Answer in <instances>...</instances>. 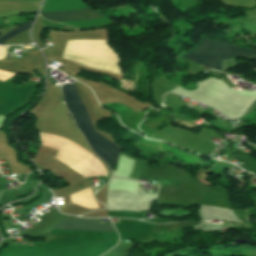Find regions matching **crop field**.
Listing matches in <instances>:
<instances>
[{
	"instance_id": "1",
	"label": "crop field",
	"mask_w": 256,
	"mask_h": 256,
	"mask_svg": "<svg viewBox=\"0 0 256 256\" xmlns=\"http://www.w3.org/2000/svg\"><path fill=\"white\" fill-rule=\"evenodd\" d=\"M62 92L67 109L74 117L78 129L85 136L92 150L108 164L112 172L121 150L94 130L74 84L62 85Z\"/></svg>"
},
{
	"instance_id": "2",
	"label": "crop field",
	"mask_w": 256,
	"mask_h": 256,
	"mask_svg": "<svg viewBox=\"0 0 256 256\" xmlns=\"http://www.w3.org/2000/svg\"><path fill=\"white\" fill-rule=\"evenodd\" d=\"M234 56L256 59V51L240 49L224 42L209 41L204 38L198 46L183 58L220 71L221 61Z\"/></svg>"
},
{
	"instance_id": "3",
	"label": "crop field",
	"mask_w": 256,
	"mask_h": 256,
	"mask_svg": "<svg viewBox=\"0 0 256 256\" xmlns=\"http://www.w3.org/2000/svg\"><path fill=\"white\" fill-rule=\"evenodd\" d=\"M99 219H60L55 228L116 232L111 223L98 224Z\"/></svg>"
},
{
	"instance_id": "4",
	"label": "crop field",
	"mask_w": 256,
	"mask_h": 256,
	"mask_svg": "<svg viewBox=\"0 0 256 256\" xmlns=\"http://www.w3.org/2000/svg\"><path fill=\"white\" fill-rule=\"evenodd\" d=\"M40 15L53 21H78L105 17L90 8L69 10L63 12L40 13Z\"/></svg>"
},
{
	"instance_id": "5",
	"label": "crop field",
	"mask_w": 256,
	"mask_h": 256,
	"mask_svg": "<svg viewBox=\"0 0 256 256\" xmlns=\"http://www.w3.org/2000/svg\"><path fill=\"white\" fill-rule=\"evenodd\" d=\"M134 243L120 242L115 248L102 256H127Z\"/></svg>"
},
{
	"instance_id": "6",
	"label": "crop field",
	"mask_w": 256,
	"mask_h": 256,
	"mask_svg": "<svg viewBox=\"0 0 256 256\" xmlns=\"http://www.w3.org/2000/svg\"><path fill=\"white\" fill-rule=\"evenodd\" d=\"M30 25H31V22L28 21V22H26V23H24V24H22V25H20V26H18L16 28H14L13 30H11L7 34H5L2 37H0V44L5 42L7 39H9V38H11V37H13V36L23 32V31L29 29Z\"/></svg>"
},
{
	"instance_id": "7",
	"label": "crop field",
	"mask_w": 256,
	"mask_h": 256,
	"mask_svg": "<svg viewBox=\"0 0 256 256\" xmlns=\"http://www.w3.org/2000/svg\"><path fill=\"white\" fill-rule=\"evenodd\" d=\"M3 193H4V192H0V197L2 196Z\"/></svg>"
},
{
	"instance_id": "8",
	"label": "crop field",
	"mask_w": 256,
	"mask_h": 256,
	"mask_svg": "<svg viewBox=\"0 0 256 256\" xmlns=\"http://www.w3.org/2000/svg\"><path fill=\"white\" fill-rule=\"evenodd\" d=\"M2 33H0V35H1Z\"/></svg>"
}]
</instances>
